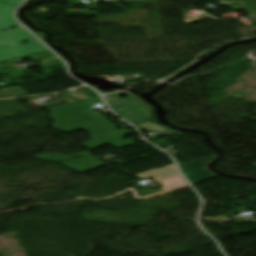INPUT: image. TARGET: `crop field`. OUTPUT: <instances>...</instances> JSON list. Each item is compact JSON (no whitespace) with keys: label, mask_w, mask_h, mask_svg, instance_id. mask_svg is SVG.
<instances>
[{"label":"crop field","mask_w":256,"mask_h":256,"mask_svg":"<svg viewBox=\"0 0 256 256\" xmlns=\"http://www.w3.org/2000/svg\"><path fill=\"white\" fill-rule=\"evenodd\" d=\"M101 103L99 97H91L69 104L48 108L49 118L55 120L53 126L56 130L70 133L77 129L85 130L91 134V141L82 146L93 150L104 144L115 148L132 145L135 138L123 141L122 138L130 134V131H117L116 127L99 114H95L88 105ZM103 105V104H102Z\"/></svg>","instance_id":"obj_1"},{"label":"crop field","mask_w":256,"mask_h":256,"mask_svg":"<svg viewBox=\"0 0 256 256\" xmlns=\"http://www.w3.org/2000/svg\"><path fill=\"white\" fill-rule=\"evenodd\" d=\"M23 39L29 43L20 45ZM43 51L47 49L23 27L0 32V62Z\"/></svg>","instance_id":"obj_2"},{"label":"crop field","mask_w":256,"mask_h":256,"mask_svg":"<svg viewBox=\"0 0 256 256\" xmlns=\"http://www.w3.org/2000/svg\"><path fill=\"white\" fill-rule=\"evenodd\" d=\"M121 96H126V98L121 99ZM131 97L124 93H113L104 96L109 106L120 117L137 126L148 120V108Z\"/></svg>","instance_id":"obj_3"},{"label":"crop field","mask_w":256,"mask_h":256,"mask_svg":"<svg viewBox=\"0 0 256 256\" xmlns=\"http://www.w3.org/2000/svg\"><path fill=\"white\" fill-rule=\"evenodd\" d=\"M214 158L215 155L179 164L180 171L192 185L212 179L217 176L207 171L205 166Z\"/></svg>","instance_id":"obj_4"},{"label":"crop field","mask_w":256,"mask_h":256,"mask_svg":"<svg viewBox=\"0 0 256 256\" xmlns=\"http://www.w3.org/2000/svg\"><path fill=\"white\" fill-rule=\"evenodd\" d=\"M22 0H0V30L18 26L12 18V10Z\"/></svg>","instance_id":"obj_5"},{"label":"crop field","mask_w":256,"mask_h":256,"mask_svg":"<svg viewBox=\"0 0 256 256\" xmlns=\"http://www.w3.org/2000/svg\"><path fill=\"white\" fill-rule=\"evenodd\" d=\"M159 183L164 186L163 188H161L163 191L153 193V194H150V195H146V196L141 197V198L147 199V198L163 195V194H166L168 192L187 187V184L182 180V178L180 176H176V177H172V178H169V179H166V180H162V181H159Z\"/></svg>","instance_id":"obj_6"},{"label":"crop field","mask_w":256,"mask_h":256,"mask_svg":"<svg viewBox=\"0 0 256 256\" xmlns=\"http://www.w3.org/2000/svg\"><path fill=\"white\" fill-rule=\"evenodd\" d=\"M178 175L174 165H170L161 169H156V170H149L147 172L141 173L137 175V177L142 178V177H152L154 178V181L165 179L168 177L176 176Z\"/></svg>","instance_id":"obj_7"},{"label":"crop field","mask_w":256,"mask_h":256,"mask_svg":"<svg viewBox=\"0 0 256 256\" xmlns=\"http://www.w3.org/2000/svg\"><path fill=\"white\" fill-rule=\"evenodd\" d=\"M219 1H220V5H223V6L240 4L250 16L256 15V0H219Z\"/></svg>","instance_id":"obj_8"},{"label":"crop field","mask_w":256,"mask_h":256,"mask_svg":"<svg viewBox=\"0 0 256 256\" xmlns=\"http://www.w3.org/2000/svg\"><path fill=\"white\" fill-rule=\"evenodd\" d=\"M89 154L90 153L86 152V153L74 154L72 156H67V155L46 153V154H42L39 156H35V158L39 159V160L54 161V162L60 163V162L76 159L73 156L81 157V156H85V155H89Z\"/></svg>","instance_id":"obj_9"},{"label":"crop field","mask_w":256,"mask_h":256,"mask_svg":"<svg viewBox=\"0 0 256 256\" xmlns=\"http://www.w3.org/2000/svg\"><path fill=\"white\" fill-rule=\"evenodd\" d=\"M140 129L153 131V132H155V133H157V134H160V135H162V136H165V135H172V134H178V133H179V132L172 131V130L166 131V130H164V129H162V128H160V127H158V126H156V125H154V124H152V123H151V124H148V125H146V126H144V127H142V128H140Z\"/></svg>","instance_id":"obj_10"}]
</instances>
